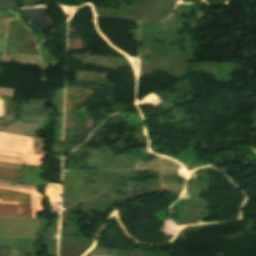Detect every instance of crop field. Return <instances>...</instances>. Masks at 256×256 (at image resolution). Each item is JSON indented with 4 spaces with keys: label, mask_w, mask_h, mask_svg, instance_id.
Here are the masks:
<instances>
[{
    "label": "crop field",
    "mask_w": 256,
    "mask_h": 256,
    "mask_svg": "<svg viewBox=\"0 0 256 256\" xmlns=\"http://www.w3.org/2000/svg\"><path fill=\"white\" fill-rule=\"evenodd\" d=\"M0 182L16 183V182H13V181H5V180H0Z\"/></svg>",
    "instance_id": "crop-field-12"
},
{
    "label": "crop field",
    "mask_w": 256,
    "mask_h": 256,
    "mask_svg": "<svg viewBox=\"0 0 256 256\" xmlns=\"http://www.w3.org/2000/svg\"><path fill=\"white\" fill-rule=\"evenodd\" d=\"M4 132H10V133H15V134H21V135H25V136H31L33 131L30 130H23V129H13V128H6L4 130H1Z\"/></svg>",
    "instance_id": "crop-field-7"
},
{
    "label": "crop field",
    "mask_w": 256,
    "mask_h": 256,
    "mask_svg": "<svg viewBox=\"0 0 256 256\" xmlns=\"http://www.w3.org/2000/svg\"><path fill=\"white\" fill-rule=\"evenodd\" d=\"M1 129H4V127H0V130H1Z\"/></svg>",
    "instance_id": "crop-field-14"
},
{
    "label": "crop field",
    "mask_w": 256,
    "mask_h": 256,
    "mask_svg": "<svg viewBox=\"0 0 256 256\" xmlns=\"http://www.w3.org/2000/svg\"><path fill=\"white\" fill-rule=\"evenodd\" d=\"M0 188L16 190V191L30 194L32 218H36L37 213L43 212L45 210L44 207H42V203H41L43 201V196L38 194L36 190L11 188V187H3V186H0Z\"/></svg>",
    "instance_id": "crop-field-4"
},
{
    "label": "crop field",
    "mask_w": 256,
    "mask_h": 256,
    "mask_svg": "<svg viewBox=\"0 0 256 256\" xmlns=\"http://www.w3.org/2000/svg\"><path fill=\"white\" fill-rule=\"evenodd\" d=\"M0 253L10 254V255H15V256H23L24 255V253L8 251V250H3V249H0Z\"/></svg>",
    "instance_id": "crop-field-10"
},
{
    "label": "crop field",
    "mask_w": 256,
    "mask_h": 256,
    "mask_svg": "<svg viewBox=\"0 0 256 256\" xmlns=\"http://www.w3.org/2000/svg\"><path fill=\"white\" fill-rule=\"evenodd\" d=\"M46 116V110L40 106H24L20 123L41 125Z\"/></svg>",
    "instance_id": "crop-field-2"
},
{
    "label": "crop field",
    "mask_w": 256,
    "mask_h": 256,
    "mask_svg": "<svg viewBox=\"0 0 256 256\" xmlns=\"http://www.w3.org/2000/svg\"><path fill=\"white\" fill-rule=\"evenodd\" d=\"M0 161L2 162H10V163H20L23 164V162L17 160V159H13V158H7V157H0Z\"/></svg>",
    "instance_id": "crop-field-8"
},
{
    "label": "crop field",
    "mask_w": 256,
    "mask_h": 256,
    "mask_svg": "<svg viewBox=\"0 0 256 256\" xmlns=\"http://www.w3.org/2000/svg\"><path fill=\"white\" fill-rule=\"evenodd\" d=\"M0 176L18 179V171L0 168Z\"/></svg>",
    "instance_id": "crop-field-6"
},
{
    "label": "crop field",
    "mask_w": 256,
    "mask_h": 256,
    "mask_svg": "<svg viewBox=\"0 0 256 256\" xmlns=\"http://www.w3.org/2000/svg\"><path fill=\"white\" fill-rule=\"evenodd\" d=\"M0 256H9V255H3V254H0Z\"/></svg>",
    "instance_id": "crop-field-13"
},
{
    "label": "crop field",
    "mask_w": 256,
    "mask_h": 256,
    "mask_svg": "<svg viewBox=\"0 0 256 256\" xmlns=\"http://www.w3.org/2000/svg\"><path fill=\"white\" fill-rule=\"evenodd\" d=\"M0 203H4V204H18V202H2V201H0Z\"/></svg>",
    "instance_id": "crop-field-11"
},
{
    "label": "crop field",
    "mask_w": 256,
    "mask_h": 256,
    "mask_svg": "<svg viewBox=\"0 0 256 256\" xmlns=\"http://www.w3.org/2000/svg\"><path fill=\"white\" fill-rule=\"evenodd\" d=\"M0 194H2L1 200L9 201H29L28 195L0 189Z\"/></svg>",
    "instance_id": "crop-field-5"
},
{
    "label": "crop field",
    "mask_w": 256,
    "mask_h": 256,
    "mask_svg": "<svg viewBox=\"0 0 256 256\" xmlns=\"http://www.w3.org/2000/svg\"><path fill=\"white\" fill-rule=\"evenodd\" d=\"M0 248L24 252V248L21 247L0 245Z\"/></svg>",
    "instance_id": "crop-field-9"
},
{
    "label": "crop field",
    "mask_w": 256,
    "mask_h": 256,
    "mask_svg": "<svg viewBox=\"0 0 256 256\" xmlns=\"http://www.w3.org/2000/svg\"><path fill=\"white\" fill-rule=\"evenodd\" d=\"M0 155L20 158L29 165L43 164L39 162L42 156L33 153L31 138L21 135L0 132Z\"/></svg>",
    "instance_id": "crop-field-1"
},
{
    "label": "crop field",
    "mask_w": 256,
    "mask_h": 256,
    "mask_svg": "<svg viewBox=\"0 0 256 256\" xmlns=\"http://www.w3.org/2000/svg\"><path fill=\"white\" fill-rule=\"evenodd\" d=\"M0 216L30 218L29 205H1Z\"/></svg>",
    "instance_id": "crop-field-3"
}]
</instances>
